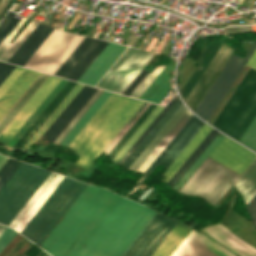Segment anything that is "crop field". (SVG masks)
Returning a JSON list of instances; mask_svg holds the SVG:
<instances>
[{
  "mask_svg": "<svg viewBox=\"0 0 256 256\" xmlns=\"http://www.w3.org/2000/svg\"><path fill=\"white\" fill-rule=\"evenodd\" d=\"M96 90L97 88H93L85 85L82 88V90L76 95V97L70 102V104L64 109V111L51 124V126L45 131V133L41 136V138L47 139L53 142L55 138L60 134V132L77 114V112L94 94Z\"/></svg>",
  "mask_w": 256,
  "mask_h": 256,
  "instance_id": "obj_19",
  "label": "crop field"
},
{
  "mask_svg": "<svg viewBox=\"0 0 256 256\" xmlns=\"http://www.w3.org/2000/svg\"><path fill=\"white\" fill-rule=\"evenodd\" d=\"M163 107L157 106L155 110L149 115V117L143 122V124L137 129V131L132 135V137L126 142V144L120 149V151L111 160L113 163L117 164L119 160L124 156V154L129 150V148L135 143V141L140 137V135L145 131V129L151 124V122L156 118V116L161 112Z\"/></svg>",
  "mask_w": 256,
  "mask_h": 256,
  "instance_id": "obj_34",
  "label": "crop field"
},
{
  "mask_svg": "<svg viewBox=\"0 0 256 256\" xmlns=\"http://www.w3.org/2000/svg\"><path fill=\"white\" fill-rule=\"evenodd\" d=\"M17 233L18 232L8 228L2 237L0 236V252L6 247V245L14 238Z\"/></svg>",
  "mask_w": 256,
  "mask_h": 256,
  "instance_id": "obj_48",
  "label": "crop field"
},
{
  "mask_svg": "<svg viewBox=\"0 0 256 256\" xmlns=\"http://www.w3.org/2000/svg\"><path fill=\"white\" fill-rule=\"evenodd\" d=\"M219 132L212 130L210 134L203 140V142L196 148V150L189 156L174 176L169 180L167 185L171 188L180 179V177L186 172V170L192 165V163L198 158V156L204 151V149L210 144V142L216 137Z\"/></svg>",
  "mask_w": 256,
  "mask_h": 256,
  "instance_id": "obj_32",
  "label": "crop field"
},
{
  "mask_svg": "<svg viewBox=\"0 0 256 256\" xmlns=\"http://www.w3.org/2000/svg\"><path fill=\"white\" fill-rule=\"evenodd\" d=\"M171 66L167 65L165 69L159 74V76L154 80V82L148 87V89L142 94L140 99L151 102L152 99L157 95V93L162 89V87L169 80V71Z\"/></svg>",
  "mask_w": 256,
  "mask_h": 256,
  "instance_id": "obj_36",
  "label": "crop field"
},
{
  "mask_svg": "<svg viewBox=\"0 0 256 256\" xmlns=\"http://www.w3.org/2000/svg\"><path fill=\"white\" fill-rule=\"evenodd\" d=\"M86 186L65 177L20 233L39 245Z\"/></svg>",
  "mask_w": 256,
  "mask_h": 256,
  "instance_id": "obj_5",
  "label": "crop field"
},
{
  "mask_svg": "<svg viewBox=\"0 0 256 256\" xmlns=\"http://www.w3.org/2000/svg\"><path fill=\"white\" fill-rule=\"evenodd\" d=\"M82 86L83 84L77 83V85L71 90V92L66 96V98L60 103V105L55 109V111L50 115V117L45 121V123L40 127V129L35 133V135L30 139V141L25 145L23 150L27 151V149L44 133V131L60 114V112L65 108V106L71 101V99L76 95V93L81 89Z\"/></svg>",
  "mask_w": 256,
  "mask_h": 256,
  "instance_id": "obj_33",
  "label": "crop field"
},
{
  "mask_svg": "<svg viewBox=\"0 0 256 256\" xmlns=\"http://www.w3.org/2000/svg\"><path fill=\"white\" fill-rule=\"evenodd\" d=\"M98 90H99V89H98ZM98 90H97V91H98ZM97 91H96V92H97ZM100 91H101V90H100ZM100 91H98V93H99ZM101 92H102V91H101ZM101 92H100V93H101ZM98 93H97V94H98ZM100 93L98 94V96L100 95ZM95 94H96V93H95ZM95 94H94V95H95ZM97 94L95 95V97L97 96ZM94 95H93V96H94ZM93 96L90 98V100L93 98ZM98 96H97V97H98ZM95 97H94V98H95ZM97 97H96V98H97ZM94 98H93V99H94ZM96 98H95V99H96ZM93 99H92V100H93ZM95 99L92 101V103L95 101ZM90 100L85 104V106L90 102ZM90 103H91V102H90ZM90 103H89V104H90ZM92 103H91V104H92ZM89 104H88V105H89ZM91 104H90V105H91ZM88 105H87V106H88ZM90 105L86 108V110L90 107ZM85 106L79 111V113L85 108ZM84 110H85V109H84ZM84 110H83V111H84ZM86 110H85V111H86ZM83 111H82V112H83ZM85 111H84L83 113L81 112L82 114L80 113V114H81L80 117L85 113ZM79 113H78V114H79ZM78 114L73 118V120L78 116ZM78 117H79V116H78ZM78 117H77V118H78ZM80 117H79L78 119L76 118V119H77V120L75 119L76 121L74 120L75 123L80 119ZM73 120H72V121H73ZM72 121H71V122H72ZM74 121H73V122H74ZM71 122L67 125V127L71 124ZM75 123H74V124L72 123L73 125L71 124V125H72V126L70 125L71 127L69 126L70 129L75 125ZM67 127H66V128H67ZM69 127H68V128H69ZM66 128H65V129H66ZM68 128L66 129V131L68 130ZM65 129H64V130H65ZM70 129H69L67 132L65 131L66 133H65L64 130H63L62 133L64 132L65 135H66V134L70 131ZM62 133H61V134H62ZM64 133H63V134H64ZM61 134H60V135H61ZM63 134H62L61 136L59 135L60 137L58 136L59 139L63 136ZM65 135L60 139V141L65 137ZM58 137H57V138H58ZM57 138H56V140H57ZM59 139H58V140H59ZM56 140H55V141H56ZM58 140L56 141V143L58 142ZM55 141H54V142H55ZM60 141L58 142V144L60 143Z\"/></svg>",
  "mask_w": 256,
  "mask_h": 256,
  "instance_id": "obj_47",
  "label": "crop field"
},
{
  "mask_svg": "<svg viewBox=\"0 0 256 256\" xmlns=\"http://www.w3.org/2000/svg\"><path fill=\"white\" fill-rule=\"evenodd\" d=\"M15 65L0 62V84L8 76V74L13 70Z\"/></svg>",
  "mask_w": 256,
  "mask_h": 256,
  "instance_id": "obj_49",
  "label": "crop field"
},
{
  "mask_svg": "<svg viewBox=\"0 0 256 256\" xmlns=\"http://www.w3.org/2000/svg\"><path fill=\"white\" fill-rule=\"evenodd\" d=\"M107 44L108 42L85 37L55 75L77 81Z\"/></svg>",
  "mask_w": 256,
  "mask_h": 256,
  "instance_id": "obj_12",
  "label": "crop field"
},
{
  "mask_svg": "<svg viewBox=\"0 0 256 256\" xmlns=\"http://www.w3.org/2000/svg\"><path fill=\"white\" fill-rule=\"evenodd\" d=\"M63 178L64 176H61L59 174L56 175V177L52 180V182L48 185V187L44 190V192L40 195V197L36 200V202L32 205V207L28 210V212L24 215L20 222L16 225L15 229H17L19 232L21 231V229L26 225V223L40 208V206L49 197V195L58 186V184L63 180Z\"/></svg>",
  "mask_w": 256,
  "mask_h": 256,
  "instance_id": "obj_31",
  "label": "crop field"
},
{
  "mask_svg": "<svg viewBox=\"0 0 256 256\" xmlns=\"http://www.w3.org/2000/svg\"><path fill=\"white\" fill-rule=\"evenodd\" d=\"M156 105L151 104L149 108L144 112V114L138 119V121L133 125V127L127 132V134L122 138V140L116 145V147L107 156L110 160L119 151V149L125 144V142L131 137V135L136 131V129L142 124V122L148 117V115L153 111Z\"/></svg>",
  "mask_w": 256,
  "mask_h": 256,
  "instance_id": "obj_37",
  "label": "crop field"
},
{
  "mask_svg": "<svg viewBox=\"0 0 256 256\" xmlns=\"http://www.w3.org/2000/svg\"><path fill=\"white\" fill-rule=\"evenodd\" d=\"M8 157H4L0 155V168L2 167V165L7 161Z\"/></svg>",
  "mask_w": 256,
  "mask_h": 256,
  "instance_id": "obj_55",
  "label": "crop field"
},
{
  "mask_svg": "<svg viewBox=\"0 0 256 256\" xmlns=\"http://www.w3.org/2000/svg\"><path fill=\"white\" fill-rule=\"evenodd\" d=\"M170 90L171 88L169 86V81H168V83L163 87V89L159 92V94L154 98L153 101L160 103Z\"/></svg>",
  "mask_w": 256,
  "mask_h": 256,
  "instance_id": "obj_52",
  "label": "crop field"
},
{
  "mask_svg": "<svg viewBox=\"0 0 256 256\" xmlns=\"http://www.w3.org/2000/svg\"><path fill=\"white\" fill-rule=\"evenodd\" d=\"M75 84V82L71 81H68L66 83L61 91L55 96V98L49 103L44 111L38 116V118L17 141V143L14 145L15 148L22 149L24 147V145L29 141V139L34 135V133L39 129V127L44 123V121L49 117V115L54 111V109L59 105V103L64 99V97L69 93V91L74 87Z\"/></svg>",
  "mask_w": 256,
  "mask_h": 256,
  "instance_id": "obj_24",
  "label": "crop field"
},
{
  "mask_svg": "<svg viewBox=\"0 0 256 256\" xmlns=\"http://www.w3.org/2000/svg\"><path fill=\"white\" fill-rule=\"evenodd\" d=\"M13 15L14 13L9 11L0 24V42L19 21V19L12 17Z\"/></svg>",
  "mask_w": 256,
  "mask_h": 256,
  "instance_id": "obj_43",
  "label": "crop field"
},
{
  "mask_svg": "<svg viewBox=\"0 0 256 256\" xmlns=\"http://www.w3.org/2000/svg\"><path fill=\"white\" fill-rule=\"evenodd\" d=\"M56 173L51 172L47 179L43 182V184L39 187L36 193L32 196L29 202L25 205L22 211L18 214V216L11 223V227H15V225L19 222V220L23 217V215L27 212V210L31 207V205L35 202V200L39 197V195L43 192V190L47 187V185L51 182V180L55 177ZM8 225V226H9Z\"/></svg>",
  "mask_w": 256,
  "mask_h": 256,
  "instance_id": "obj_38",
  "label": "crop field"
},
{
  "mask_svg": "<svg viewBox=\"0 0 256 256\" xmlns=\"http://www.w3.org/2000/svg\"><path fill=\"white\" fill-rule=\"evenodd\" d=\"M209 156L242 174L256 154L224 137Z\"/></svg>",
  "mask_w": 256,
  "mask_h": 256,
  "instance_id": "obj_17",
  "label": "crop field"
},
{
  "mask_svg": "<svg viewBox=\"0 0 256 256\" xmlns=\"http://www.w3.org/2000/svg\"><path fill=\"white\" fill-rule=\"evenodd\" d=\"M239 142L256 151V116Z\"/></svg>",
  "mask_w": 256,
  "mask_h": 256,
  "instance_id": "obj_41",
  "label": "crop field"
},
{
  "mask_svg": "<svg viewBox=\"0 0 256 256\" xmlns=\"http://www.w3.org/2000/svg\"><path fill=\"white\" fill-rule=\"evenodd\" d=\"M175 224L156 213L122 256H151Z\"/></svg>",
  "mask_w": 256,
  "mask_h": 256,
  "instance_id": "obj_11",
  "label": "crop field"
},
{
  "mask_svg": "<svg viewBox=\"0 0 256 256\" xmlns=\"http://www.w3.org/2000/svg\"><path fill=\"white\" fill-rule=\"evenodd\" d=\"M235 49L224 44L221 46L205 72L202 74L188 97L186 98L187 104L195 112L204 96L222 71L223 67L233 54Z\"/></svg>",
  "mask_w": 256,
  "mask_h": 256,
  "instance_id": "obj_14",
  "label": "crop field"
},
{
  "mask_svg": "<svg viewBox=\"0 0 256 256\" xmlns=\"http://www.w3.org/2000/svg\"><path fill=\"white\" fill-rule=\"evenodd\" d=\"M186 107L182 104L181 107L176 111V113L171 117V119L166 123V125L161 129V131L156 135V137L151 141V143L146 147V149L141 153V155L136 159V161L131 165V169H135L136 166L141 162V160L146 156V154L152 149V147L157 143V141L162 137V135L167 131V129L173 124V122L178 118V116L183 112V110ZM187 109L184 110V112ZM184 112L179 116V118L184 114ZM193 114L190 113L188 110L185 112V114L180 118H179L174 122V124L168 129V131L163 135V137L158 141V143L164 138V136L169 132H170L165 136V138L159 143H158L153 147V149L147 154V156L142 160V162L137 166V168L135 170L138 169V167L143 163V161L148 157H149L144 161V163L139 167V169L137 170L138 172H142L144 173L146 171V169L151 165V163L157 158V156L162 152V150L168 145V143L174 138V136L179 132V130L185 125V123L190 119V117Z\"/></svg>",
  "mask_w": 256,
  "mask_h": 256,
  "instance_id": "obj_13",
  "label": "crop field"
},
{
  "mask_svg": "<svg viewBox=\"0 0 256 256\" xmlns=\"http://www.w3.org/2000/svg\"><path fill=\"white\" fill-rule=\"evenodd\" d=\"M22 73V72H21ZM40 73L25 69L11 87L0 98V120L17 102Z\"/></svg>",
  "mask_w": 256,
  "mask_h": 256,
  "instance_id": "obj_22",
  "label": "crop field"
},
{
  "mask_svg": "<svg viewBox=\"0 0 256 256\" xmlns=\"http://www.w3.org/2000/svg\"><path fill=\"white\" fill-rule=\"evenodd\" d=\"M20 164L21 162L9 158L8 161L3 165V167L0 169V189L16 171Z\"/></svg>",
  "mask_w": 256,
  "mask_h": 256,
  "instance_id": "obj_40",
  "label": "crop field"
},
{
  "mask_svg": "<svg viewBox=\"0 0 256 256\" xmlns=\"http://www.w3.org/2000/svg\"><path fill=\"white\" fill-rule=\"evenodd\" d=\"M189 231L190 229L177 223L152 256H170Z\"/></svg>",
  "mask_w": 256,
  "mask_h": 256,
  "instance_id": "obj_28",
  "label": "crop field"
},
{
  "mask_svg": "<svg viewBox=\"0 0 256 256\" xmlns=\"http://www.w3.org/2000/svg\"><path fill=\"white\" fill-rule=\"evenodd\" d=\"M10 0H1L0 2V17L2 16V14L4 13L7 5L9 4Z\"/></svg>",
  "mask_w": 256,
  "mask_h": 256,
  "instance_id": "obj_53",
  "label": "crop field"
},
{
  "mask_svg": "<svg viewBox=\"0 0 256 256\" xmlns=\"http://www.w3.org/2000/svg\"><path fill=\"white\" fill-rule=\"evenodd\" d=\"M126 48L109 43L78 82L94 86Z\"/></svg>",
  "mask_w": 256,
  "mask_h": 256,
  "instance_id": "obj_20",
  "label": "crop field"
},
{
  "mask_svg": "<svg viewBox=\"0 0 256 256\" xmlns=\"http://www.w3.org/2000/svg\"><path fill=\"white\" fill-rule=\"evenodd\" d=\"M142 103L112 93L68 146L81 156L76 165L88 169Z\"/></svg>",
  "mask_w": 256,
  "mask_h": 256,
  "instance_id": "obj_2",
  "label": "crop field"
},
{
  "mask_svg": "<svg viewBox=\"0 0 256 256\" xmlns=\"http://www.w3.org/2000/svg\"><path fill=\"white\" fill-rule=\"evenodd\" d=\"M110 94V92H102V94L97 98V100L92 104V106L87 110V112L82 116V118L77 122V124L72 128L67 136L62 140L60 143L61 145L66 147L69 145V143L74 139V137L79 133V131L84 127V125L89 121V119L94 115V113L99 109V107L104 103Z\"/></svg>",
  "mask_w": 256,
  "mask_h": 256,
  "instance_id": "obj_30",
  "label": "crop field"
},
{
  "mask_svg": "<svg viewBox=\"0 0 256 256\" xmlns=\"http://www.w3.org/2000/svg\"><path fill=\"white\" fill-rule=\"evenodd\" d=\"M256 49V41H253L244 58L233 55L214 85L196 110V114L206 121L209 119L233 81L236 79L254 50Z\"/></svg>",
  "mask_w": 256,
  "mask_h": 256,
  "instance_id": "obj_9",
  "label": "crop field"
},
{
  "mask_svg": "<svg viewBox=\"0 0 256 256\" xmlns=\"http://www.w3.org/2000/svg\"><path fill=\"white\" fill-rule=\"evenodd\" d=\"M144 192L142 191L140 194H138L136 197L138 198L141 194H143Z\"/></svg>",
  "mask_w": 256,
  "mask_h": 256,
  "instance_id": "obj_56",
  "label": "crop field"
},
{
  "mask_svg": "<svg viewBox=\"0 0 256 256\" xmlns=\"http://www.w3.org/2000/svg\"><path fill=\"white\" fill-rule=\"evenodd\" d=\"M211 129L212 128L206 124L203 126V128L198 132V134L192 139V141L187 145V147L181 152V154L175 159V161L165 171V173L163 174V176L165 177L163 178L162 182L166 183L168 181V179L182 165V163L194 151V149L199 145V143L204 139V137L209 133Z\"/></svg>",
  "mask_w": 256,
  "mask_h": 256,
  "instance_id": "obj_27",
  "label": "crop field"
},
{
  "mask_svg": "<svg viewBox=\"0 0 256 256\" xmlns=\"http://www.w3.org/2000/svg\"><path fill=\"white\" fill-rule=\"evenodd\" d=\"M52 30L51 27L39 24L8 62L23 66Z\"/></svg>",
  "mask_w": 256,
  "mask_h": 256,
  "instance_id": "obj_23",
  "label": "crop field"
},
{
  "mask_svg": "<svg viewBox=\"0 0 256 256\" xmlns=\"http://www.w3.org/2000/svg\"><path fill=\"white\" fill-rule=\"evenodd\" d=\"M152 55L128 48L96 86L122 94Z\"/></svg>",
  "mask_w": 256,
  "mask_h": 256,
  "instance_id": "obj_8",
  "label": "crop field"
},
{
  "mask_svg": "<svg viewBox=\"0 0 256 256\" xmlns=\"http://www.w3.org/2000/svg\"><path fill=\"white\" fill-rule=\"evenodd\" d=\"M171 256H236V255L230 252L229 250H227L226 248H224L223 246L208 239L202 233H196L191 230L190 233L181 242V244L177 247V249L173 252Z\"/></svg>",
  "mask_w": 256,
  "mask_h": 256,
  "instance_id": "obj_18",
  "label": "crop field"
},
{
  "mask_svg": "<svg viewBox=\"0 0 256 256\" xmlns=\"http://www.w3.org/2000/svg\"><path fill=\"white\" fill-rule=\"evenodd\" d=\"M163 66L155 67L152 73H148L146 77L139 83V85L132 91L130 96L139 98L140 95L145 91V89L150 85L154 78L159 74V72L164 68Z\"/></svg>",
  "mask_w": 256,
  "mask_h": 256,
  "instance_id": "obj_39",
  "label": "crop field"
},
{
  "mask_svg": "<svg viewBox=\"0 0 256 256\" xmlns=\"http://www.w3.org/2000/svg\"><path fill=\"white\" fill-rule=\"evenodd\" d=\"M224 135L218 134L217 137L211 142V144L205 149V151L199 156V158L193 163V165L187 170V172L181 177V179L172 188L176 191L186 182V180L192 175V173L198 168V166L204 161V159L210 154L218 142Z\"/></svg>",
  "mask_w": 256,
  "mask_h": 256,
  "instance_id": "obj_35",
  "label": "crop field"
},
{
  "mask_svg": "<svg viewBox=\"0 0 256 256\" xmlns=\"http://www.w3.org/2000/svg\"><path fill=\"white\" fill-rule=\"evenodd\" d=\"M150 105V103H148L145 108L139 113V115L136 117V119L129 125V127L124 131L125 127L122 128V130L117 134V136L112 140V142L107 146V148L104 150V152L106 153L107 150L110 148V146L113 144V142L118 138V136L120 135V137L114 142V144L111 146V148L108 150V152L106 153L107 155L109 154V152L114 148V146L120 141V139L126 134V132L131 128V126L137 121V119L143 114V112L148 108V106Z\"/></svg>",
  "mask_w": 256,
  "mask_h": 256,
  "instance_id": "obj_46",
  "label": "crop field"
},
{
  "mask_svg": "<svg viewBox=\"0 0 256 256\" xmlns=\"http://www.w3.org/2000/svg\"><path fill=\"white\" fill-rule=\"evenodd\" d=\"M154 214L122 197L76 256H121Z\"/></svg>",
  "mask_w": 256,
  "mask_h": 256,
  "instance_id": "obj_3",
  "label": "crop field"
},
{
  "mask_svg": "<svg viewBox=\"0 0 256 256\" xmlns=\"http://www.w3.org/2000/svg\"><path fill=\"white\" fill-rule=\"evenodd\" d=\"M204 124V122L193 115L134 186L138 187L158 163L165 165L164 168L167 169Z\"/></svg>",
  "mask_w": 256,
  "mask_h": 256,
  "instance_id": "obj_15",
  "label": "crop field"
},
{
  "mask_svg": "<svg viewBox=\"0 0 256 256\" xmlns=\"http://www.w3.org/2000/svg\"><path fill=\"white\" fill-rule=\"evenodd\" d=\"M120 198L88 185L40 246L53 256H75Z\"/></svg>",
  "mask_w": 256,
  "mask_h": 256,
  "instance_id": "obj_1",
  "label": "crop field"
},
{
  "mask_svg": "<svg viewBox=\"0 0 256 256\" xmlns=\"http://www.w3.org/2000/svg\"><path fill=\"white\" fill-rule=\"evenodd\" d=\"M25 18L19 21V23L14 27V29L9 33V35L0 44V60L7 61L9 57L16 51V49L22 44V42L29 36V34L35 29L38 23L33 21L26 27V29L18 36V38L12 43H8L11 38L15 35L18 29L21 27Z\"/></svg>",
  "mask_w": 256,
  "mask_h": 256,
  "instance_id": "obj_25",
  "label": "crop field"
},
{
  "mask_svg": "<svg viewBox=\"0 0 256 256\" xmlns=\"http://www.w3.org/2000/svg\"><path fill=\"white\" fill-rule=\"evenodd\" d=\"M61 78L49 75L37 91L31 96L21 110L15 115L5 129L0 133V144L6 145L19 128L31 116L36 108L48 96Z\"/></svg>",
  "mask_w": 256,
  "mask_h": 256,
  "instance_id": "obj_16",
  "label": "crop field"
},
{
  "mask_svg": "<svg viewBox=\"0 0 256 256\" xmlns=\"http://www.w3.org/2000/svg\"><path fill=\"white\" fill-rule=\"evenodd\" d=\"M235 186L242 194L246 204H248L256 194V160L237 181Z\"/></svg>",
  "mask_w": 256,
  "mask_h": 256,
  "instance_id": "obj_29",
  "label": "crop field"
},
{
  "mask_svg": "<svg viewBox=\"0 0 256 256\" xmlns=\"http://www.w3.org/2000/svg\"><path fill=\"white\" fill-rule=\"evenodd\" d=\"M202 232L239 256H256L255 248L247 244L219 223L203 228Z\"/></svg>",
  "mask_w": 256,
  "mask_h": 256,
  "instance_id": "obj_21",
  "label": "crop field"
},
{
  "mask_svg": "<svg viewBox=\"0 0 256 256\" xmlns=\"http://www.w3.org/2000/svg\"><path fill=\"white\" fill-rule=\"evenodd\" d=\"M148 188H149V187H148V186H146V188H145L143 191H145V192H146Z\"/></svg>",
  "mask_w": 256,
  "mask_h": 256,
  "instance_id": "obj_57",
  "label": "crop field"
},
{
  "mask_svg": "<svg viewBox=\"0 0 256 256\" xmlns=\"http://www.w3.org/2000/svg\"><path fill=\"white\" fill-rule=\"evenodd\" d=\"M209 159H210V157L208 156V157L206 158V160L200 165V167L194 172V174L187 180V182L181 187V189H180L178 192L181 193V192L183 191V189L188 185V183L192 180V178H193V177L198 173V171L207 163V161H208ZM210 161H211V159L208 161V163H209ZM212 162H213V160H212L209 164L207 163L208 165L206 164L207 166L205 165L206 167L204 166L205 168L203 167V168H204V169L202 168L203 170L201 169L202 172H201V173L199 172L200 174L198 173V174H199V175L197 174L198 176L196 175V176H197L196 179H195L196 176L193 178V180H194V179H195V180H194V181L192 180L193 182L191 181L192 184H191V182L189 183V185H190V184H191V185H190V186L188 185V186H189V187L187 186L188 188L186 187L187 190H188V189L195 183V181L204 173V171L210 166V164H211ZM211 165H212V164H211ZM217 165H218V162L215 161V162L213 163V165L206 171V173H205V174L199 179V181L194 185V187H193V188L191 187V188H192V189L190 188L191 190L189 189L190 191H189L188 194L186 193V192H187L186 188L184 189V191L186 190L185 192L183 191L184 194L186 193L187 195H192V194L195 192V190L198 188V186L201 184V182L208 176V174H209ZM221 165H222V164H219V165L209 174V176L203 181V183L200 185V187L197 189V191L193 194V196H195V194L201 189V187L208 181V179L213 175V173H214ZM222 167H223V165L215 172V174H214V175L210 178V180L202 187V189L196 194V196H198V195L202 192V190L212 181V179L219 173V171L222 169ZM201 170H200V171H201ZM226 170H227V167L224 166L223 169L220 171V173L213 179V181L203 190V192H202L199 196H200V197H203V196L207 193V191L217 182V180L224 174V172H225ZM229 170H230V169H228V170L226 171V173H227ZM232 172H233V170L229 171L227 174L225 173L226 176H225V174H224V175L218 180V182H219L224 176H225V177H224L219 183L217 182V183H218V184L216 183L217 186L215 187V185H216V184H215V185L208 191V193H209L214 187H215V188H214L209 194L207 193L208 196H207V194H206V195L204 196V198L207 196V197L205 198V199L207 200V199L221 186V184L229 177V175H230ZM236 173H237V172L234 171V172L231 174V176L223 183V185L207 200L209 203H210V202L213 200V198H214V197H215L232 179H233V177L236 175ZM237 176H238V174L234 177V179H235ZM239 176H240V175H239ZM239 176H238L235 180L233 179L234 181L232 180L233 182L231 181L232 183L230 182L231 184L229 183L230 185L228 184L229 186H228V185H227L228 187L226 186L227 189H226V187H225V188L214 198V200H213L210 204L212 205L213 202L218 198V196L226 189V190L219 196V198L214 202V204H213V206H214V205L218 202V200L227 192V190L235 183V181L239 178ZM183 192H182V194H183ZM186 194H185V195H186Z\"/></svg>",
  "mask_w": 256,
  "mask_h": 256,
  "instance_id": "obj_10",
  "label": "crop field"
},
{
  "mask_svg": "<svg viewBox=\"0 0 256 256\" xmlns=\"http://www.w3.org/2000/svg\"><path fill=\"white\" fill-rule=\"evenodd\" d=\"M50 171L22 163L0 191V223L9 225Z\"/></svg>",
  "mask_w": 256,
  "mask_h": 256,
  "instance_id": "obj_6",
  "label": "crop field"
},
{
  "mask_svg": "<svg viewBox=\"0 0 256 256\" xmlns=\"http://www.w3.org/2000/svg\"><path fill=\"white\" fill-rule=\"evenodd\" d=\"M177 95L168 103V105L163 109V111L157 116V118L152 122V124L147 128V130L141 135V137L136 141V143L130 148V150L125 154V156L120 160L118 164H122L123 161L129 156V154L134 150V148L140 143V141L146 136V134L152 129V127L158 122V120L163 116V114L169 109V107L177 99ZM142 142V141H141ZM131 155V154H130ZM125 162V161H124Z\"/></svg>",
  "mask_w": 256,
  "mask_h": 256,
  "instance_id": "obj_42",
  "label": "crop field"
},
{
  "mask_svg": "<svg viewBox=\"0 0 256 256\" xmlns=\"http://www.w3.org/2000/svg\"><path fill=\"white\" fill-rule=\"evenodd\" d=\"M24 68L16 67L14 71L8 76V78L0 86V97L4 92L10 87V85L16 80V78L21 74Z\"/></svg>",
  "mask_w": 256,
  "mask_h": 256,
  "instance_id": "obj_45",
  "label": "crop field"
},
{
  "mask_svg": "<svg viewBox=\"0 0 256 256\" xmlns=\"http://www.w3.org/2000/svg\"><path fill=\"white\" fill-rule=\"evenodd\" d=\"M42 75H43V73L41 74V76H42ZM45 75H46V74H45ZM45 75H44V76H45ZM39 76H40V75H39ZM41 76H40V77H41ZM47 76H48V75H46V76L43 78V80L41 79V80H42V81L40 80L41 82L39 81L40 83L36 86V88L34 87L35 89L29 94V96L24 100V102L19 106V108L16 110V112H18V110L24 105V103H25V102L29 99V97L35 92V90L41 85V83L46 79ZM40 77L38 78V80L40 79ZM42 77H43V76H42ZM42 77H41V78H42ZM36 80H37V79H36ZM36 80H35V81H36ZM38 80H37V81H38ZM35 81H34V82H35ZM37 81H36V82H37ZM36 82H35V83H36ZM35 83H34V84H35ZM37 83H38V82H37ZM37 83H36V84H37ZM34 84H33V85H34ZM36 84H35V85H36ZM35 85H34V86H35ZM31 86H32V85H31ZM31 86H30V87H31ZM30 87H29V88H30ZM32 87H33V86H32ZM32 87H31V88H32ZM31 88H30V89H31ZM30 89H29V90H30ZM32 89H33V88H32ZM32 89H31V90H32ZM29 90H28V91H29ZM31 90H30V91H31ZM28 91H27V92H28ZM30 91H29V92H30ZM29 92H28V93H29ZM25 93H26V92H25ZM25 93H24V94H25ZM26 94H27V93H26ZM26 94H25V95H26ZM25 95H24V96H25ZM27 95H28V94H27ZM27 95H26V96H27ZM24 96H23V97H24ZM26 96H25V97H26ZM23 97H22V98H23ZM25 97H24V98H25ZM22 98H21V99H22ZM24 98H23V99H24ZM19 100H20V99H19ZM20 101H21V100H20ZM20 101H19V102H20ZM22 101H23V100H22ZM22 101H21V102H22ZM19 102H18V103H19ZM21 102H20V103H21ZM18 103H17V104H18ZM20 103H19V104H20ZM19 104H18V105H19ZM15 105H16V104H15ZM15 105H14V107H15ZM18 105H17V106H18ZM14 107H13V108H14ZM16 108H17V107H16ZM16 108H15V109H16ZM15 109H14V110H15ZM12 110H13V109H12ZM12 110H10L9 113H8V114L4 117V119L0 122V126H1L2 123L8 118V116L11 114ZM16 112H15V113H14V111L12 112V114L14 113L13 116L16 114ZM12 114L9 116V118L12 116ZM13 116H12L10 119L8 118L9 121L13 118ZM8 119L3 123V125L8 121ZM9 121H8V122H9ZM8 122H7V123H8ZM7 123L4 125V127L7 125ZM3 125L0 127V129L3 127ZM4 127H3V128H4ZM3 128H2V129H3ZM0 132H1V130H0Z\"/></svg>",
  "mask_w": 256,
  "mask_h": 256,
  "instance_id": "obj_44",
  "label": "crop field"
},
{
  "mask_svg": "<svg viewBox=\"0 0 256 256\" xmlns=\"http://www.w3.org/2000/svg\"><path fill=\"white\" fill-rule=\"evenodd\" d=\"M181 104L182 103L178 98L176 102L170 107V109L165 113V115L142 140V142L131 153V155L125 160L122 166L127 168L130 167V165L135 161V159L140 155V153L145 149V147L150 143V141L155 137V135L160 131V129L165 125V123L170 119V117L175 113Z\"/></svg>",
  "mask_w": 256,
  "mask_h": 256,
  "instance_id": "obj_26",
  "label": "crop field"
},
{
  "mask_svg": "<svg viewBox=\"0 0 256 256\" xmlns=\"http://www.w3.org/2000/svg\"><path fill=\"white\" fill-rule=\"evenodd\" d=\"M147 72L141 71L140 74L135 78V80L130 84V86L125 90L123 94L129 95L131 91L138 85V83L145 77Z\"/></svg>",
  "mask_w": 256,
  "mask_h": 256,
  "instance_id": "obj_50",
  "label": "crop field"
},
{
  "mask_svg": "<svg viewBox=\"0 0 256 256\" xmlns=\"http://www.w3.org/2000/svg\"><path fill=\"white\" fill-rule=\"evenodd\" d=\"M84 36L54 29L24 67L54 74Z\"/></svg>",
  "mask_w": 256,
  "mask_h": 256,
  "instance_id": "obj_7",
  "label": "crop field"
},
{
  "mask_svg": "<svg viewBox=\"0 0 256 256\" xmlns=\"http://www.w3.org/2000/svg\"><path fill=\"white\" fill-rule=\"evenodd\" d=\"M256 115V71L249 68L212 125L239 141Z\"/></svg>",
  "mask_w": 256,
  "mask_h": 256,
  "instance_id": "obj_4",
  "label": "crop field"
},
{
  "mask_svg": "<svg viewBox=\"0 0 256 256\" xmlns=\"http://www.w3.org/2000/svg\"><path fill=\"white\" fill-rule=\"evenodd\" d=\"M249 212L251 214V217L253 219V222L256 226V195L254 196V198L249 202V204L247 205Z\"/></svg>",
  "mask_w": 256,
  "mask_h": 256,
  "instance_id": "obj_51",
  "label": "crop field"
},
{
  "mask_svg": "<svg viewBox=\"0 0 256 256\" xmlns=\"http://www.w3.org/2000/svg\"><path fill=\"white\" fill-rule=\"evenodd\" d=\"M247 65L256 69V50L253 53V55L251 56V58L249 59V61L247 62Z\"/></svg>",
  "mask_w": 256,
  "mask_h": 256,
  "instance_id": "obj_54",
  "label": "crop field"
}]
</instances>
